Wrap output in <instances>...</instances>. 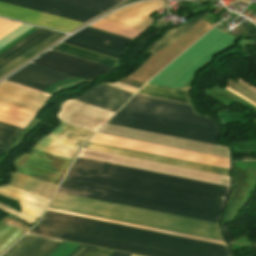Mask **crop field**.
<instances>
[{"mask_svg": "<svg viewBox=\"0 0 256 256\" xmlns=\"http://www.w3.org/2000/svg\"><path fill=\"white\" fill-rule=\"evenodd\" d=\"M61 186L217 218L229 190L79 157Z\"/></svg>", "mask_w": 256, "mask_h": 256, "instance_id": "obj_1", "label": "crop field"}, {"mask_svg": "<svg viewBox=\"0 0 256 256\" xmlns=\"http://www.w3.org/2000/svg\"><path fill=\"white\" fill-rule=\"evenodd\" d=\"M29 232L146 256H232L224 245L48 210Z\"/></svg>", "mask_w": 256, "mask_h": 256, "instance_id": "obj_2", "label": "crop field"}, {"mask_svg": "<svg viewBox=\"0 0 256 256\" xmlns=\"http://www.w3.org/2000/svg\"><path fill=\"white\" fill-rule=\"evenodd\" d=\"M123 108L218 127L213 121L194 114L190 106L158 99L135 95ZM124 109L108 123L217 145L218 128Z\"/></svg>", "mask_w": 256, "mask_h": 256, "instance_id": "obj_3", "label": "crop field"}, {"mask_svg": "<svg viewBox=\"0 0 256 256\" xmlns=\"http://www.w3.org/2000/svg\"><path fill=\"white\" fill-rule=\"evenodd\" d=\"M49 208L223 241L218 224L56 192Z\"/></svg>", "mask_w": 256, "mask_h": 256, "instance_id": "obj_4", "label": "crop field"}, {"mask_svg": "<svg viewBox=\"0 0 256 256\" xmlns=\"http://www.w3.org/2000/svg\"><path fill=\"white\" fill-rule=\"evenodd\" d=\"M235 38L215 27L148 83L181 87L210 61L214 53L226 47ZM137 93L190 104L187 91L183 90L146 84Z\"/></svg>", "mask_w": 256, "mask_h": 256, "instance_id": "obj_5", "label": "crop field"}, {"mask_svg": "<svg viewBox=\"0 0 256 256\" xmlns=\"http://www.w3.org/2000/svg\"><path fill=\"white\" fill-rule=\"evenodd\" d=\"M91 142L229 169V159L96 134Z\"/></svg>", "mask_w": 256, "mask_h": 256, "instance_id": "obj_6", "label": "crop field"}, {"mask_svg": "<svg viewBox=\"0 0 256 256\" xmlns=\"http://www.w3.org/2000/svg\"><path fill=\"white\" fill-rule=\"evenodd\" d=\"M71 161L32 149L14 161L17 172L59 185Z\"/></svg>", "mask_w": 256, "mask_h": 256, "instance_id": "obj_7", "label": "crop field"}, {"mask_svg": "<svg viewBox=\"0 0 256 256\" xmlns=\"http://www.w3.org/2000/svg\"><path fill=\"white\" fill-rule=\"evenodd\" d=\"M66 126V124L61 123V125L51 132L47 137L42 138L39 142L33 147L40 151L46 152L52 139ZM94 133L81 130L72 126L67 125L52 141L48 152H52L58 155H62L68 158L74 159L78 153L80 147L89 140ZM47 152V153H48ZM50 153V154H52ZM53 154V155H55ZM56 155V156H58ZM59 156V157H62ZM62 157V158H65ZM65 158V159H68ZM72 159H68L71 160Z\"/></svg>", "mask_w": 256, "mask_h": 256, "instance_id": "obj_8", "label": "crop field"}, {"mask_svg": "<svg viewBox=\"0 0 256 256\" xmlns=\"http://www.w3.org/2000/svg\"><path fill=\"white\" fill-rule=\"evenodd\" d=\"M0 16L67 32L81 22L0 2Z\"/></svg>", "mask_w": 256, "mask_h": 256, "instance_id": "obj_9", "label": "crop field"}, {"mask_svg": "<svg viewBox=\"0 0 256 256\" xmlns=\"http://www.w3.org/2000/svg\"><path fill=\"white\" fill-rule=\"evenodd\" d=\"M34 62L36 64L46 66L87 80L92 79L97 74L109 70V68L102 67L54 51H50L44 54Z\"/></svg>", "mask_w": 256, "mask_h": 256, "instance_id": "obj_10", "label": "crop field"}, {"mask_svg": "<svg viewBox=\"0 0 256 256\" xmlns=\"http://www.w3.org/2000/svg\"><path fill=\"white\" fill-rule=\"evenodd\" d=\"M22 7L85 22L101 11L57 1V0H0ZM73 20V21H74ZM77 21V22H78ZM81 22V23H82Z\"/></svg>", "mask_w": 256, "mask_h": 256, "instance_id": "obj_11", "label": "crop field"}, {"mask_svg": "<svg viewBox=\"0 0 256 256\" xmlns=\"http://www.w3.org/2000/svg\"><path fill=\"white\" fill-rule=\"evenodd\" d=\"M0 195L18 201L22 212L12 210L2 204H0V209L19 217L27 223L35 222L49 202V199L7 186L0 187Z\"/></svg>", "mask_w": 256, "mask_h": 256, "instance_id": "obj_12", "label": "crop field"}, {"mask_svg": "<svg viewBox=\"0 0 256 256\" xmlns=\"http://www.w3.org/2000/svg\"><path fill=\"white\" fill-rule=\"evenodd\" d=\"M72 77L36 64H29L7 80L43 91L59 79Z\"/></svg>", "mask_w": 256, "mask_h": 256, "instance_id": "obj_13", "label": "crop field"}, {"mask_svg": "<svg viewBox=\"0 0 256 256\" xmlns=\"http://www.w3.org/2000/svg\"><path fill=\"white\" fill-rule=\"evenodd\" d=\"M84 147L229 176V170L227 169H222V168H217V167H212V166H207V165H202V164H197V163H192V162H187V161H182V160H177V159H172V158H167L162 156H156V155L126 150V149H121V148H116V147H111V146H106V145H101V144H96L91 142H88Z\"/></svg>", "mask_w": 256, "mask_h": 256, "instance_id": "obj_14", "label": "crop field"}, {"mask_svg": "<svg viewBox=\"0 0 256 256\" xmlns=\"http://www.w3.org/2000/svg\"><path fill=\"white\" fill-rule=\"evenodd\" d=\"M48 96L0 83V102L37 113Z\"/></svg>", "mask_w": 256, "mask_h": 256, "instance_id": "obj_15", "label": "crop field"}, {"mask_svg": "<svg viewBox=\"0 0 256 256\" xmlns=\"http://www.w3.org/2000/svg\"><path fill=\"white\" fill-rule=\"evenodd\" d=\"M132 95L133 93L102 84L75 99L116 112Z\"/></svg>", "mask_w": 256, "mask_h": 256, "instance_id": "obj_16", "label": "crop field"}, {"mask_svg": "<svg viewBox=\"0 0 256 256\" xmlns=\"http://www.w3.org/2000/svg\"><path fill=\"white\" fill-rule=\"evenodd\" d=\"M63 242L26 234L2 256H48Z\"/></svg>", "mask_w": 256, "mask_h": 256, "instance_id": "obj_17", "label": "crop field"}, {"mask_svg": "<svg viewBox=\"0 0 256 256\" xmlns=\"http://www.w3.org/2000/svg\"><path fill=\"white\" fill-rule=\"evenodd\" d=\"M11 181L10 186L46 197L51 199L55 192L57 185L47 183L29 176H25L16 172L10 173Z\"/></svg>", "mask_w": 256, "mask_h": 256, "instance_id": "obj_18", "label": "crop field"}, {"mask_svg": "<svg viewBox=\"0 0 256 256\" xmlns=\"http://www.w3.org/2000/svg\"><path fill=\"white\" fill-rule=\"evenodd\" d=\"M58 191L218 223L217 218H212V217H207V216H202V215H196V214H191V213H186V212H181V211H176V210H171V209H166V208H161V207H155V206H150V205L125 201V200H120V199L104 197V196H99V195L80 192V191H76V190L66 189V188H62V187H59Z\"/></svg>", "mask_w": 256, "mask_h": 256, "instance_id": "obj_19", "label": "crop field"}, {"mask_svg": "<svg viewBox=\"0 0 256 256\" xmlns=\"http://www.w3.org/2000/svg\"><path fill=\"white\" fill-rule=\"evenodd\" d=\"M73 36L97 42L122 52L131 41L129 39L119 37L90 27L81 30Z\"/></svg>", "mask_w": 256, "mask_h": 256, "instance_id": "obj_20", "label": "crop field"}, {"mask_svg": "<svg viewBox=\"0 0 256 256\" xmlns=\"http://www.w3.org/2000/svg\"><path fill=\"white\" fill-rule=\"evenodd\" d=\"M28 228L23 223L7 216L0 220V254L19 239Z\"/></svg>", "mask_w": 256, "mask_h": 256, "instance_id": "obj_21", "label": "crop field"}, {"mask_svg": "<svg viewBox=\"0 0 256 256\" xmlns=\"http://www.w3.org/2000/svg\"><path fill=\"white\" fill-rule=\"evenodd\" d=\"M51 33L52 31L44 30L41 28L37 29L9 49L2 52L0 54V66L4 65L5 63H7L8 61H10L11 59H13L14 57H16L17 55H19L20 53H22L23 51H25L26 49L39 42Z\"/></svg>", "mask_w": 256, "mask_h": 256, "instance_id": "obj_22", "label": "crop field"}, {"mask_svg": "<svg viewBox=\"0 0 256 256\" xmlns=\"http://www.w3.org/2000/svg\"><path fill=\"white\" fill-rule=\"evenodd\" d=\"M35 113L0 103V121L25 128Z\"/></svg>", "mask_w": 256, "mask_h": 256, "instance_id": "obj_23", "label": "crop field"}, {"mask_svg": "<svg viewBox=\"0 0 256 256\" xmlns=\"http://www.w3.org/2000/svg\"><path fill=\"white\" fill-rule=\"evenodd\" d=\"M208 14L210 13L202 14L197 18L193 19L192 21H190L189 23H187L186 25L178 29H174L166 32L163 37H161L149 48L148 53L151 55L155 54L156 52H158L159 50H161L162 48H164L165 46H167L168 44L176 40L178 37L186 33L192 27H194L197 23L203 20V18L206 17Z\"/></svg>", "mask_w": 256, "mask_h": 256, "instance_id": "obj_24", "label": "crop field"}, {"mask_svg": "<svg viewBox=\"0 0 256 256\" xmlns=\"http://www.w3.org/2000/svg\"><path fill=\"white\" fill-rule=\"evenodd\" d=\"M63 36L62 33H57L54 32L51 35H49L48 37H46L45 39H43L42 41H40L39 43H37L36 45H34L33 47H31L30 49H28L27 51H25L24 53H22L21 55H19L18 57H16L15 59H13L12 61H10L9 63H7L6 65H4L3 67L0 68V77H2L3 75H5L6 73H8L10 70H12L13 68H15L18 64H20L21 62L25 61L26 59H28L30 56H32L34 53L38 52L39 50L43 49L44 47H46L48 44H50L51 42L61 38ZM19 66V65H18Z\"/></svg>", "mask_w": 256, "mask_h": 256, "instance_id": "obj_25", "label": "crop field"}, {"mask_svg": "<svg viewBox=\"0 0 256 256\" xmlns=\"http://www.w3.org/2000/svg\"><path fill=\"white\" fill-rule=\"evenodd\" d=\"M62 42L116 59H119V57L122 55V52L117 50L73 36Z\"/></svg>", "mask_w": 256, "mask_h": 256, "instance_id": "obj_26", "label": "crop field"}, {"mask_svg": "<svg viewBox=\"0 0 256 256\" xmlns=\"http://www.w3.org/2000/svg\"><path fill=\"white\" fill-rule=\"evenodd\" d=\"M54 48L59 49V50H63V51L69 52V53H73V54H76V55H79V56H82V57H86V58H89V59H92V60H95V61H99V62H102V63H105V64H109V65H112V66H114L115 63L117 62V60H115V59L108 58V57H105V56H102V55H98V54H95V53H92V52H88V51H85V50H82V49H78V48H75V47H72V46H68V45H65V44H62V43L58 44ZM56 49H54V50H56ZM59 50H56V51H59ZM63 51H59V52L66 53V52H63ZM69 53H66V54H69ZM73 54H69V55H72V56H75V57H78V58H81V59H85V60L100 64V65H104V66L112 68V66L105 65V64H102V63H99V62H95V61H92V60H89V59H86V58H82V57H79V56H76V55H73Z\"/></svg>", "mask_w": 256, "mask_h": 256, "instance_id": "obj_27", "label": "crop field"}, {"mask_svg": "<svg viewBox=\"0 0 256 256\" xmlns=\"http://www.w3.org/2000/svg\"><path fill=\"white\" fill-rule=\"evenodd\" d=\"M91 27L97 28V29H101L113 34H117L123 37H127L130 38L132 40H134V38L139 35L142 31L139 30H135L126 26H122L110 21H106V20H99L98 22L94 23L93 25H91Z\"/></svg>", "mask_w": 256, "mask_h": 256, "instance_id": "obj_28", "label": "crop field"}, {"mask_svg": "<svg viewBox=\"0 0 256 256\" xmlns=\"http://www.w3.org/2000/svg\"><path fill=\"white\" fill-rule=\"evenodd\" d=\"M22 128L0 122V150L5 151Z\"/></svg>", "mask_w": 256, "mask_h": 256, "instance_id": "obj_29", "label": "crop field"}, {"mask_svg": "<svg viewBox=\"0 0 256 256\" xmlns=\"http://www.w3.org/2000/svg\"><path fill=\"white\" fill-rule=\"evenodd\" d=\"M113 251L80 245L77 249H75L69 256H110Z\"/></svg>", "mask_w": 256, "mask_h": 256, "instance_id": "obj_30", "label": "crop field"}, {"mask_svg": "<svg viewBox=\"0 0 256 256\" xmlns=\"http://www.w3.org/2000/svg\"><path fill=\"white\" fill-rule=\"evenodd\" d=\"M61 1L69 2V3L101 10V11H104L112 7L113 5H115V3H111L103 0H61Z\"/></svg>", "mask_w": 256, "mask_h": 256, "instance_id": "obj_31", "label": "crop field"}, {"mask_svg": "<svg viewBox=\"0 0 256 256\" xmlns=\"http://www.w3.org/2000/svg\"><path fill=\"white\" fill-rule=\"evenodd\" d=\"M47 209L48 210H53V211H58V212H63V213H68V214H73V215H78V216H83V217H88V218H93V219H98V220H103V221H108V222L128 225V226H133V227H139V228H144V229H149V230H154V231H159V232H164V233H169V234H174V235H179V236H184V237H189V238H194V239H199V240H204V241H209V242H214V243H219V244H224L225 245V243H222V242H217V241H212V240H207V239H202V238H197V237H191V236H186V235H181V234H176V233H171V232H166V231H161V230H156V229H151V228H146V227H141V226H135V225L125 224V223H120V222H115V221H110V220H105V219H100V218H95V217H90V216H85V215H80V214H74V213H69V212L49 209V208H47Z\"/></svg>", "mask_w": 256, "mask_h": 256, "instance_id": "obj_32", "label": "crop field"}, {"mask_svg": "<svg viewBox=\"0 0 256 256\" xmlns=\"http://www.w3.org/2000/svg\"><path fill=\"white\" fill-rule=\"evenodd\" d=\"M236 27H238L240 30H242L249 36H256V28L251 24L246 27L240 24Z\"/></svg>", "mask_w": 256, "mask_h": 256, "instance_id": "obj_33", "label": "crop field"}, {"mask_svg": "<svg viewBox=\"0 0 256 256\" xmlns=\"http://www.w3.org/2000/svg\"><path fill=\"white\" fill-rule=\"evenodd\" d=\"M16 22L0 19V34L15 25Z\"/></svg>", "mask_w": 256, "mask_h": 256, "instance_id": "obj_34", "label": "crop field"}, {"mask_svg": "<svg viewBox=\"0 0 256 256\" xmlns=\"http://www.w3.org/2000/svg\"><path fill=\"white\" fill-rule=\"evenodd\" d=\"M21 23L16 24L15 26H13L12 28H10L9 30H7L6 32H4L3 34L0 35V38H2L3 36H5L6 34H8L9 32H11L12 30H14L15 28H17L18 26H20Z\"/></svg>", "mask_w": 256, "mask_h": 256, "instance_id": "obj_35", "label": "crop field"}, {"mask_svg": "<svg viewBox=\"0 0 256 256\" xmlns=\"http://www.w3.org/2000/svg\"><path fill=\"white\" fill-rule=\"evenodd\" d=\"M112 254H113V253H112ZM112 254H111V255H112ZM112 256H134V255L115 252ZM135 256H138V255H135Z\"/></svg>", "mask_w": 256, "mask_h": 256, "instance_id": "obj_36", "label": "crop field"}, {"mask_svg": "<svg viewBox=\"0 0 256 256\" xmlns=\"http://www.w3.org/2000/svg\"><path fill=\"white\" fill-rule=\"evenodd\" d=\"M136 1H139V0H128V1H126L124 4H122V5H125V4H129V3H133V2H136Z\"/></svg>", "mask_w": 256, "mask_h": 256, "instance_id": "obj_37", "label": "crop field"}, {"mask_svg": "<svg viewBox=\"0 0 256 256\" xmlns=\"http://www.w3.org/2000/svg\"><path fill=\"white\" fill-rule=\"evenodd\" d=\"M107 1H111V2H115V3H119V2H121L122 0H107Z\"/></svg>", "mask_w": 256, "mask_h": 256, "instance_id": "obj_38", "label": "crop field"}, {"mask_svg": "<svg viewBox=\"0 0 256 256\" xmlns=\"http://www.w3.org/2000/svg\"><path fill=\"white\" fill-rule=\"evenodd\" d=\"M3 151H0V156L2 155Z\"/></svg>", "mask_w": 256, "mask_h": 256, "instance_id": "obj_39", "label": "crop field"}, {"mask_svg": "<svg viewBox=\"0 0 256 256\" xmlns=\"http://www.w3.org/2000/svg\"><path fill=\"white\" fill-rule=\"evenodd\" d=\"M256 246V245H255Z\"/></svg>", "mask_w": 256, "mask_h": 256, "instance_id": "obj_40", "label": "crop field"}]
</instances>
